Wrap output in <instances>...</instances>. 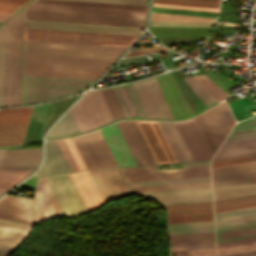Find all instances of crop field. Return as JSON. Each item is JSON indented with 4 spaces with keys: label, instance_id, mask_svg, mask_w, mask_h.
<instances>
[{
    "label": "crop field",
    "instance_id": "69",
    "mask_svg": "<svg viewBox=\"0 0 256 256\" xmlns=\"http://www.w3.org/2000/svg\"><path fill=\"white\" fill-rule=\"evenodd\" d=\"M256 136V132L254 133H248V134H242V135H236V136H230L227 137L226 141H232V140H237V139H243V138H248V137H254Z\"/></svg>",
    "mask_w": 256,
    "mask_h": 256
},
{
    "label": "crop field",
    "instance_id": "46",
    "mask_svg": "<svg viewBox=\"0 0 256 256\" xmlns=\"http://www.w3.org/2000/svg\"><path fill=\"white\" fill-rule=\"evenodd\" d=\"M213 220L212 214L167 217V224Z\"/></svg>",
    "mask_w": 256,
    "mask_h": 256
},
{
    "label": "crop field",
    "instance_id": "31",
    "mask_svg": "<svg viewBox=\"0 0 256 256\" xmlns=\"http://www.w3.org/2000/svg\"><path fill=\"white\" fill-rule=\"evenodd\" d=\"M33 3L146 11L147 6L73 0H36Z\"/></svg>",
    "mask_w": 256,
    "mask_h": 256
},
{
    "label": "crop field",
    "instance_id": "4",
    "mask_svg": "<svg viewBox=\"0 0 256 256\" xmlns=\"http://www.w3.org/2000/svg\"><path fill=\"white\" fill-rule=\"evenodd\" d=\"M214 201L256 194V161L212 169Z\"/></svg>",
    "mask_w": 256,
    "mask_h": 256
},
{
    "label": "crop field",
    "instance_id": "40",
    "mask_svg": "<svg viewBox=\"0 0 256 256\" xmlns=\"http://www.w3.org/2000/svg\"><path fill=\"white\" fill-rule=\"evenodd\" d=\"M31 172L0 169V187L10 188Z\"/></svg>",
    "mask_w": 256,
    "mask_h": 256
},
{
    "label": "crop field",
    "instance_id": "29",
    "mask_svg": "<svg viewBox=\"0 0 256 256\" xmlns=\"http://www.w3.org/2000/svg\"><path fill=\"white\" fill-rule=\"evenodd\" d=\"M24 63L107 69L113 62L25 56Z\"/></svg>",
    "mask_w": 256,
    "mask_h": 256
},
{
    "label": "crop field",
    "instance_id": "41",
    "mask_svg": "<svg viewBox=\"0 0 256 256\" xmlns=\"http://www.w3.org/2000/svg\"><path fill=\"white\" fill-rule=\"evenodd\" d=\"M151 20L213 22V18L191 15L152 13Z\"/></svg>",
    "mask_w": 256,
    "mask_h": 256
},
{
    "label": "crop field",
    "instance_id": "19",
    "mask_svg": "<svg viewBox=\"0 0 256 256\" xmlns=\"http://www.w3.org/2000/svg\"><path fill=\"white\" fill-rule=\"evenodd\" d=\"M156 199L161 205L212 201L211 188L139 193Z\"/></svg>",
    "mask_w": 256,
    "mask_h": 256
},
{
    "label": "crop field",
    "instance_id": "49",
    "mask_svg": "<svg viewBox=\"0 0 256 256\" xmlns=\"http://www.w3.org/2000/svg\"><path fill=\"white\" fill-rule=\"evenodd\" d=\"M256 130V117H252L241 122L236 123L230 135L250 132Z\"/></svg>",
    "mask_w": 256,
    "mask_h": 256
},
{
    "label": "crop field",
    "instance_id": "34",
    "mask_svg": "<svg viewBox=\"0 0 256 256\" xmlns=\"http://www.w3.org/2000/svg\"><path fill=\"white\" fill-rule=\"evenodd\" d=\"M76 124L72 118L70 111H68L60 121L50 130L46 138L57 137L64 135H73L78 133Z\"/></svg>",
    "mask_w": 256,
    "mask_h": 256
},
{
    "label": "crop field",
    "instance_id": "77",
    "mask_svg": "<svg viewBox=\"0 0 256 256\" xmlns=\"http://www.w3.org/2000/svg\"><path fill=\"white\" fill-rule=\"evenodd\" d=\"M4 151H5V149H0V160L2 158V155H3Z\"/></svg>",
    "mask_w": 256,
    "mask_h": 256
},
{
    "label": "crop field",
    "instance_id": "33",
    "mask_svg": "<svg viewBox=\"0 0 256 256\" xmlns=\"http://www.w3.org/2000/svg\"><path fill=\"white\" fill-rule=\"evenodd\" d=\"M169 235L214 231L213 221L167 225Z\"/></svg>",
    "mask_w": 256,
    "mask_h": 256
},
{
    "label": "crop field",
    "instance_id": "15",
    "mask_svg": "<svg viewBox=\"0 0 256 256\" xmlns=\"http://www.w3.org/2000/svg\"><path fill=\"white\" fill-rule=\"evenodd\" d=\"M193 161L210 160L212 152L195 120V118L174 122Z\"/></svg>",
    "mask_w": 256,
    "mask_h": 256
},
{
    "label": "crop field",
    "instance_id": "81",
    "mask_svg": "<svg viewBox=\"0 0 256 256\" xmlns=\"http://www.w3.org/2000/svg\"><path fill=\"white\" fill-rule=\"evenodd\" d=\"M0 194H2V193H0Z\"/></svg>",
    "mask_w": 256,
    "mask_h": 256
},
{
    "label": "crop field",
    "instance_id": "1",
    "mask_svg": "<svg viewBox=\"0 0 256 256\" xmlns=\"http://www.w3.org/2000/svg\"><path fill=\"white\" fill-rule=\"evenodd\" d=\"M137 165L177 162L158 122L120 121L116 122Z\"/></svg>",
    "mask_w": 256,
    "mask_h": 256
},
{
    "label": "crop field",
    "instance_id": "47",
    "mask_svg": "<svg viewBox=\"0 0 256 256\" xmlns=\"http://www.w3.org/2000/svg\"><path fill=\"white\" fill-rule=\"evenodd\" d=\"M231 111L234 115L252 110L255 108V101L254 99L246 101L245 99L241 98L235 102L228 104Z\"/></svg>",
    "mask_w": 256,
    "mask_h": 256
},
{
    "label": "crop field",
    "instance_id": "64",
    "mask_svg": "<svg viewBox=\"0 0 256 256\" xmlns=\"http://www.w3.org/2000/svg\"><path fill=\"white\" fill-rule=\"evenodd\" d=\"M87 1H100V2H114V3L147 5V0H87Z\"/></svg>",
    "mask_w": 256,
    "mask_h": 256
},
{
    "label": "crop field",
    "instance_id": "73",
    "mask_svg": "<svg viewBox=\"0 0 256 256\" xmlns=\"http://www.w3.org/2000/svg\"><path fill=\"white\" fill-rule=\"evenodd\" d=\"M232 256H256V251H254V252H249V253H243V254L232 255Z\"/></svg>",
    "mask_w": 256,
    "mask_h": 256
},
{
    "label": "crop field",
    "instance_id": "28",
    "mask_svg": "<svg viewBox=\"0 0 256 256\" xmlns=\"http://www.w3.org/2000/svg\"><path fill=\"white\" fill-rule=\"evenodd\" d=\"M255 154L256 137L223 143L211 162Z\"/></svg>",
    "mask_w": 256,
    "mask_h": 256
},
{
    "label": "crop field",
    "instance_id": "25",
    "mask_svg": "<svg viewBox=\"0 0 256 256\" xmlns=\"http://www.w3.org/2000/svg\"><path fill=\"white\" fill-rule=\"evenodd\" d=\"M66 172H70V169L56 141H46L44 162L34 176L42 178Z\"/></svg>",
    "mask_w": 256,
    "mask_h": 256
},
{
    "label": "crop field",
    "instance_id": "68",
    "mask_svg": "<svg viewBox=\"0 0 256 256\" xmlns=\"http://www.w3.org/2000/svg\"><path fill=\"white\" fill-rule=\"evenodd\" d=\"M153 3L219 8V6H213V5H200V4H187V3L159 2V1H153Z\"/></svg>",
    "mask_w": 256,
    "mask_h": 256
},
{
    "label": "crop field",
    "instance_id": "48",
    "mask_svg": "<svg viewBox=\"0 0 256 256\" xmlns=\"http://www.w3.org/2000/svg\"><path fill=\"white\" fill-rule=\"evenodd\" d=\"M140 118H149L134 84L126 86Z\"/></svg>",
    "mask_w": 256,
    "mask_h": 256
},
{
    "label": "crop field",
    "instance_id": "32",
    "mask_svg": "<svg viewBox=\"0 0 256 256\" xmlns=\"http://www.w3.org/2000/svg\"><path fill=\"white\" fill-rule=\"evenodd\" d=\"M48 104V103H47ZM47 104L35 106L32 108L29 124L27 127L24 143L38 139L40 136ZM23 143V144H24Z\"/></svg>",
    "mask_w": 256,
    "mask_h": 256
},
{
    "label": "crop field",
    "instance_id": "79",
    "mask_svg": "<svg viewBox=\"0 0 256 256\" xmlns=\"http://www.w3.org/2000/svg\"><path fill=\"white\" fill-rule=\"evenodd\" d=\"M208 1H216V2H219L220 0H208Z\"/></svg>",
    "mask_w": 256,
    "mask_h": 256
},
{
    "label": "crop field",
    "instance_id": "8",
    "mask_svg": "<svg viewBox=\"0 0 256 256\" xmlns=\"http://www.w3.org/2000/svg\"><path fill=\"white\" fill-rule=\"evenodd\" d=\"M25 33L86 37V38H100V39H113V40H127V41H133L137 37V36H131V35H117V34H103V33H89V32L47 30V29H33V28H26ZM32 34H25V39L105 44V45H120V46H128L129 44L132 43V42H126V41H112V40L72 38V37L32 35Z\"/></svg>",
    "mask_w": 256,
    "mask_h": 256
},
{
    "label": "crop field",
    "instance_id": "38",
    "mask_svg": "<svg viewBox=\"0 0 256 256\" xmlns=\"http://www.w3.org/2000/svg\"><path fill=\"white\" fill-rule=\"evenodd\" d=\"M101 91L104 95V98L106 100V103L109 107V110L111 112L113 119L115 120L117 118H126L114 89L112 88V89L101 90Z\"/></svg>",
    "mask_w": 256,
    "mask_h": 256
},
{
    "label": "crop field",
    "instance_id": "75",
    "mask_svg": "<svg viewBox=\"0 0 256 256\" xmlns=\"http://www.w3.org/2000/svg\"><path fill=\"white\" fill-rule=\"evenodd\" d=\"M201 13H203V14H209V15H214V16H216V15H217V13H214V12H206V11H202Z\"/></svg>",
    "mask_w": 256,
    "mask_h": 256
},
{
    "label": "crop field",
    "instance_id": "78",
    "mask_svg": "<svg viewBox=\"0 0 256 256\" xmlns=\"http://www.w3.org/2000/svg\"><path fill=\"white\" fill-rule=\"evenodd\" d=\"M7 189H4V188H0V192H4L6 191Z\"/></svg>",
    "mask_w": 256,
    "mask_h": 256
},
{
    "label": "crop field",
    "instance_id": "70",
    "mask_svg": "<svg viewBox=\"0 0 256 256\" xmlns=\"http://www.w3.org/2000/svg\"><path fill=\"white\" fill-rule=\"evenodd\" d=\"M159 1H173V2H187V3H200V4L219 5V3H216V2H208V1H186V0H159Z\"/></svg>",
    "mask_w": 256,
    "mask_h": 256
},
{
    "label": "crop field",
    "instance_id": "74",
    "mask_svg": "<svg viewBox=\"0 0 256 256\" xmlns=\"http://www.w3.org/2000/svg\"><path fill=\"white\" fill-rule=\"evenodd\" d=\"M1 1H7V2H14V3L24 4V3H26L28 0H1Z\"/></svg>",
    "mask_w": 256,
    "mask_h": 256
},
{
    "label": "crop field",
    "instance_id": "23",
    "mask_svg": "<svg viewBox=\"0 0 256 256\" xmlns=\"http://www.w3.org/2000/svg\"><path fill=\"white\" fill-rule=\"evenodd\" d=\"M32 226L0 219V256H9Z\"/></svg>",
    "mask_w": 256,
    "mask_h": 256
},
{
    "label": "crop field",
    "instance_id": "17",
    "mask_svg": "<svg viewBox=\"0 0 256 256\" xmlns=\"http://www.w3.org/2000/svg\"><path fill=\"white\" fill-rule=\"evenodd\" d=\"M26 10L145 19L146 12L31 4Z\"/></svg>",
    "mask_w": 256,
    "mask_h": 256
},
{
    "label": "crop field",
    "instance_id": "57",
    "mask_svg": "<svg viewBox=\"0 0 256 256\" xmlns=\"http://www.w3.org/2000/svg\"><path fill=\"white\" fill-rule=\"evenodd\" d=\"M254 160H256V156H250V157H244V158L214 162V163H211V167L214 168V167L226 166V165L237 164V163L248 162V161H254Z\"/></svg>",
    "mask_w": 256,
    "mask_h": 256
},
{
    "label": "crop field",
    "instance_id": "55",
    "mask_svg": "<svg viewBox=\"0 0 256 256\" xmlns=\"http://www.w3.org/2000/svg\"><path fill=\"white\" fill-rule=\"evenodd\" d=\"M130 115H137L125 86L117 88Z\"/></svg>",
    "mask_w": 256,
    "mask_h": 256
},
{
    "label": "crop field",
    "instance_id": "54",
    "mask_svg": "<svg viewBox=\"0 0 256 256\" xmlns=\"http://www.w3.org/2000/svg\"><path fill=\"white\" fill-rule=\"evenodd\" d=\"M253 201H256V195L217 201V202H214V205H215V208H217V207H223V206H229V205H235V204H241V203H247V202H253Z\"/></svg>",
    "mask_w": 256,
    "mask_h": 256
},
{
    "label": "crop field",
    "instance_id": "27",
    "mask_svg": "<svg viewBox=\"0 0 256 256\" xmlns=\"http://www.w3.org/2000/svg\"><path fill=\"white\" fill-rule=\"evenodd\" d=\"M70 176L88 211L97 209L104 204L88 171L72 173Z\"/></svg>",
    "mask_w": 256,
    "mask_h": 256
},
{
    "label": "crop field",
    "instance_id": "13",
    "mask_svg": "<svg viewBox=\"0 0 256 256\" xmlns=\"http://www.w3.org/2000/svg\"><path fill=\"white\" fill-rule=\"evenodd\" d=\"M104 203L131 193L118 168L89 171Z\"/></svg>",
    "mask_w": 256,
    "mask_h": 256
},
{
    "label": "crop field",
    "instance_id": "56",
    "mask_svg": "<svg viewBox=\"0 0 256 256\" xmlns=\"http://www.w3.org/2000/svg\"><path fill=\"white\" fill-rule=\"evenodd\" d=\"M57 142H58V144H59V146H60V148H61V150H62V152H63V154H64V156H65V158H66V160H67V162H68V164L70 166V168H71V170L72 171H77L78 168H77V166H76V164H75V162H74V160H73V158H72V156H71V154H70V152H69V150H68L64 140L63 139H59V140H57Z\"/></svg>",
    "mask_w": 256,
    "mask_h": 256
},
{
    "label": "crop field",
    "instance_id": "45",
    "mask_svg": "<svg viewBox=\"0 0 256 256\" xmlns=\"http://www.w3.org/2000/svg\"><path fill=\"white\" fill-rule=\"evenodd\" d=\"M195 77L215 97L217 101L227 96L226 93H224L219 87H217L212 81H210L204 75H196Z\"/></svg>",
    "mask_w": 256,
    "mask_h": 256
},
{
    "label": "crop field",
    "instance_id": "20",
    "mask_svg": "<svg viewBox=\"0 0 256 256\" xmlns=\"http://www.w3.org/2000/svg\"><path fill=\"white\" fill-rule=\"evenodd\" d=\"M0 218L33 224L32 199L4 196L0 199Z\"/></svg>",
    "mask_w": 256,
    "mask_h": 256
},
{
    "label": "crop field",
    "instance_id": "59",
    "mask_svg": "<svg viewBox=\"0 0 256 256\" xmlns=\"http://www.w3.org/2000/svg\"><path fill=\"white\" fill-rule=\"evenodd\" d=\"M65 141H66V143H67V145H68V147H69V149H70V151H71V153H72V155H73V157H74V159H75L79 169L80 170L86 169V167H85V165H84L80 155L78 154V152H77V150H76V148H75L71 138L65 139Z\"/></svg>",
    "mask_w": 256,
    "mask_h": 256
},
{
    "label": "crop field",
    "instance_id": "18",
    "mask_svg": "<svg viewBox=\"0 0 256 256\" xmlns=\"http://www.w3.org/2000/svg\"><path fill=\"white\" fill-rule=\"evenodd\" d=\"M34 211L35 223L64 214H62L45 178L38 179L34 196Z\"/></svg>",
    "mask_w": 256,
    "mask_h": 256
},
{
    "label": "crop field",
    "instance_id": "63",
    "mask_svg": "<svg viewBox=\"0 0 256 256\" xmlns=\"http://www.w3.org/2000/svg\"><path fill=\"white\" fill-rule=\"evenodd\" d=\"M212 213V209L168 212L167 216Z\"/></svg>",
    "mask_w": 256,
    "mask_h": 256
},
{
    "label": "crop field",
    "instance_id": "60",
    "mask_svg": "<svg viewBox=\"0 0 256 256\" xmlns=\"http://www.w3.org/2000/svg\"><path fill=\"white\" fill-rule=\"evenodd\" d=\"M215 247V243L170 246V251Z\"/></svg>",
    "mask_w": 256,
    "mask_h": 256
},
{
    "label": "crop field",
    "instance_id": "12",
    "mask_svg": "<svg viewBox=\"0 0 256 256\" xmlns=\"http://www.w3.org/2000/svg\"><path fill=\"white\" fill-rule=\"evenodd\" d=\"M127 182L205 176L209 167L156 171L155 165L121 168Z\"/></svg>",
    "mask_w": 256,
    "mask_h": 256
},
{
    "label": "crop field",
    "instance_id": "80",
    "mask_svg": "<svg viewBox=\"0 0 256 256\" xmlns=\"http://www.w3.org/2000/svg\"><path fill=\"white\" fill-rule=\"evenodd\" d=\"M250 235H252V234H250ZM244 236H246V235H244ZM240 237V236H239ZM234 238V237H233ZM228 239V238H227ZM222 240V239H221Z\"/></svg>",
    "mask_w": 256,
    "mask_h": 256
},
{
    "label": "crop field",
    "instance_id": "26",
    "mask_svg": "<svg viewBox=\"0 0 256 256\" xmlns=\"http://www.w3.org/2000/svg\"><path fill=\"white\" fill-rule=\"evenodd\" d=\"M26 27L139 35L142 29L26 21Z\"/></svg>",
    "mask_w": 256,
    "mask_h": 256
},
{
    "label": "crop field",
    "instance_id": "42",
    "mask_svg": "<svg viewBox=\"0 0 256 256\" xmlns=\"http://www.w3.org/2000/svg\"><path fill=\"white\" fill-rule=\"evenodd\" d=\"M256 250V241L236 244L231 246L217 248L218 256H226L237 253L249 252Z\"/></svg>",
    "mask_w": 256,
    "mask_h": 256
},
{
    "label": "crop field",
    "instance_id": "30",
    "mask_svg": "<svg viewBox=\"0 0 256 256\" xmlns=\"http://www.w3.org/2000/svg\"><path fill=\"white\" fill-rule=\"evenodd\" d=\"M178 162L192 161L184 143L182 142L173 122H159Z\"/></svg>",
    "mask_w": 256,
    "mask_h": 256
},
{
    "label": "crop field",
    "instance_id": "10",
    "mask_svg": "<svg viewBox=\"0 0 256 256\" xmlns=\"http://www.w3.org/2000/svg\"><path fill=\"white\" fill-rule=\"evenodd\" d=\"M46 180L65 216L87 212L69 174L47 177Z\"/></svg>",
    "mask_w": 256,
    "mask_h": 256
},
{
    "label": "crop field",
    "instance_id": "58",
    "mask_svg": "<svg viewBox=\"0 0 256 256\" xmlns=\"http://www.w3.org/2000/svg\"><path fill=\"white\" fill-rule=\"evenodd\" d=\"M167 50L168 49H166L162 46L142 48V49H134V50H130L124 57L139 55V54H146V53L161 52V51H167Z\"/></svg>",
    "mask_w": 256,
    "mask_h": 256
},
{
    "label": "crop field",
    "instance_id": "36",
    "mask_svg": "<svg viewBox=\"0 0 256 256\" xmlns=\"http://www.w3.org/2000/svg\"><path fill=\"white\" fill-rule=\"evenodd\" d=\"M211 187L210 182L130 188L132 193Z\"/></svg>",
    "mask_w": 256,
    "mask_h": 256
},
{
    "label": "crop field",
    "instance_id": "14",
    "mask_svg": "<svg viewBox=\"0 0 256 256\" xmlns=\"http://www.w3.org/2000/svg\"><path fill=\"white\" fill-rule=\"evenodd\" d=\"M26 19L144 27L145 20L26 11Z\"/></svg>",
    "mask_w": 256,
    "mask_h": 256
},
{
    "label": "crop field",
    "instance_id": "7",
    "mask_svg": "<svg viewBox=\"0 0 256 256\" xmlns=\"http://www.w3.org/2000/svg\"><path fill=\"white\" fill-rule=\"evenodd\" d=\"M87 169L117 167L100 130L72 138Z\"/></svg>",
    "mask_w": 256,
    "mask_h": 256
},
{
    "label": "crop field",
    "instance_id": "62",
    "mask_svg": "<svg viewBox=\"0 0 256 256\" xmlns=\"http://www.w3.org/2000/svg\"><path fill=\"white\" fill-rule=\"evenodd\" d=\"M20 6H22V5L14 4V3L1 2L0 1V12L1 13L11 14L16 9H18Z\"/></svg>",
    "mask_w": 256,
    "mask_h": 256
},
{
    "label": "crop field",
    "instance_id": "67",
    "mask_svg": "<svg viewBox=\"0 0 256 256\" xmlns=\"http://www.w3.org/2000/svg\"><path fill=\"white\" fill-rule=\"evenodd\" d=\"M153 6L171 7V8H183V9H195V10H206V11H214V12H218V10H219V9H213V8H199V7H186V6H173V5H159V4H153Z\"/></svg>",
    "mask_w": 256,
    "mask_h": 256
},
{
    "label": "crop field",
    "instance_id": "50",
    "mask_svg": "<svg viewBox=\"0 0 256 256\" xmlns=\"http://www.w3.org/2000/svg\"><path fill=\"white\" fill-rule=\"evenodd\" d=\"M170 256H216L215 248L170 252Z\"/></svg>",
    "mask_w": 256,
    "mask_h": 256
},
{
    "label": "crop field",
    "instance_id": "21",
    "mask_svg": "<svg viewBox=\"0 0 256 256\" xmlns=\"http://www.w3.org/2000/svg\"><path fill=\"white\" fill-rule=\"evenodd\" d=\"M41 158V147L6 150L0 168L34 171Z\"/></svg>",
    "mask_w": 256,
    "mask_h": 256
},
{
    "label": "crop field",
    "instance_id": "3",
    "mask_svg": "<svg viewBox=\"0 0 256 256\" xmlns=\"http://www.w3.org/2000/svg\"><path fill=\"white\" fill-rule=\"evenodd\" d=\"M125 48L120 46L25 40V55L32 56L115 61Z\"/></svg>",
    "mask_w": 256,
    "mask_h": 256
},
{
    "label": "crop field",
    "instance_id": "66",
    "mask_svg": "<svg viewBox=\"0 0 256 256\" xmlns=\"http://www.w3.org/2000/svg\"><path fill=\"white\" fill-rule=\"evenodd\" d=\"M253 240H256V236L242 238V239H236V240H231V241H225V242H219V243H217V247L236 244V243H242V242H248V241H253Z\"/></svg>",
    "mask_w": 256,
    "mask_h": 256
},
{
    "label": "crop field",
    "instance_id": "71",
    "mask_svg": "<svg viewBox=\"0 0 256 256\" xmlns=\"http://www.w3.org/2000/svg\"><path fill=\"white\" fill-rule=\"evenodd\" d=\"M185 168L209 166V162L184 163Z\"/></svg>",
    "mask_w": 256,
    "mask_h": 256
},
{
    "label": "crop field",
    "instance_id": "61",
    "mask_svg": "<svg viewBox=\"0 0 256 256\" xmlns=\"http://www.w3.org/2000/svg\"><path fill=\"white\" fill-rule=\"evenodd\" d=\"M250 233H256V228H250V229H244V230H239V231L221 233V234H219V239L227 238V237H233V236H239V235H244V234H250Z\"/></svg>",
    "mask_w": 256,
    "mask_h": 256
},
{
    "label": "crop field",
    "instance_id": "76",
    "mask_svg": "<svg viewBox=\"0 0 256 256\" xmlns=\"http://www.w3.org/2000/svg\"><path fill=\"white\" fill-rule=\"evenodd\" d=\"M8 15L7 14H1L0 13V21L3 20L4 18H6Z\"/></svg>",
    "mask_w": 256,
    "mask_h": 256
},
{
    "label": "crop field",
    "instance_id": "5",
    "mask_svg": "<svg viewBox=\"0 0 256 256\" xmlns=\"http://www.w3.org/2000/svg\"><path fill=\"white\" fill-rule=\"evenodd\" d=\"M95 80L24 75L23 93L67 96L84 91ZM23 94V105L41 103L58 96Z\"/></svg>",
    "mask_w": 256,
    "mask_h": 256
},
{
    "label": "crop field",
    "instance_id": "37",
    "mask_svg": "<svg viewBox=\"0 0 256 256\" xmlns=\"http://www.w3.org/2000/svg\"><path fill=\"white\" fill-rule=\"evenodd\" d=\"M255 224H256V214L242 216V217H236V218H230V219H224V220H218V221H216V231L237 228V227H243V226H249V225H255Z\"/></svg>",
    "mask_w": 256,
    "mask_h": 256
},
{
    "label": "crop field",
    "instance_id": "9",
    "mask_svg": "<svg viewBox=\"0 0 256 256\" xmlns=\"http://www.w3.org/2000/svg\"><path fill=\"white\" fill-rule=\"evenodd\" d=\"M215 107L230 131L235 122L225 102ZM215 107L195 117L213 154L229 132Z\"/></svg>",
    "mask_w": 256,
    "mask_h": 256
},
{
    "label": "crop field",
    "instance_id": "44",
    "mask_svg": "<svg viewBox=\"0 0 256 256\" xmlns=\"http://www.w3.org/2000/svg\"><path fill=\"white\" fill-rule=\"evenodd\" d=\"M5 24L0 27V107H3Z\"/></svg>",
    "mask_w": 256,
    "mask_h": 256
},
{
    "label": "crop field",
    "instance_id": "51",
    "mask_svg": "<svg viewBox=\"0 0 256 256\" xmlns=\"http://www.w3.org/2000/svg\"><path fill=\"white\" fill-rule=\"evenodd\" d=\"M167 211L212 208V202L163 206Z\"/></svg>",
    "mask_w": 256,
    "mask_h": 256
},
{
    "label": "crop field",
    "instance_id": "65",
    "mask_svg": "<svg viewBox=\"0 0 256 256\" xmlns=\"http://www.w3.org/2000/svg\"><path fill=\"white\" fill-rule=\"evenodd\" d=\"M251 206H256V202L241 204V205H235V206H229V207H223V208H217V209H215V213L234 210V209H240V208H246V207H251Z\"/></svg>",
    "mask_w": 256,
    "mask_h": 256
},
{
    "label": "crop field",
    "instance_id": "52",
    "mask_svg": "<svg viewBox=\"0 0 256 256\" xmlns=\"http://www.w3.org/2000/svg\"><path fill=\"white\" fill-rule=\"evenodd\" d=\"M212 23L151 21L150 26H192L210 27Z\"/></svg>",
    "mask_w": 256,
    "mask_h": 256
},
{
    "label": "crop field",
    "instance_id": "6",
    "mask_svg": "<svg viewBox=\"0 0 256 256\" xmlns=\"http://www.w3.org/2000/svg\"><path fill=\"white\" fill-rule=\"evenodd\" d=\"M70 111L80 132L113 120L100 90L85 94Z\"/></svg>",
    "mask_w": 256,
    "mask_h": 256
},
{
    "label": "crop field",
    "instance_id": "39",
    "mask_svg": "<svg viewBox=\"0 0 256 256\" xmlns=\"http://www.w3.org/2000/svg\"><path fill=\"white\" fill-rule=\"evenodd\" d=\"M204 181H210V176L181 178V179H169V180H157V181H145V182H133V183H128V184L130 187H136V186H150V185L177 184V183L204 182Z\"/></svg>",
    "mask_w": 256,
    "mask_h": 256
},
{
    "label": "crop field",
    "instance_id": "11",
    "mask_svg": "<svg viewBox=\"0 0 256 256\" xmlns=\"http://www.w3.org/2000/svg\"><path fill=\"white\" fill-rule=\"evenodd\" d=\"M31 108L0 110V146L22 144Z\"/></svg>",
    "mask_w": 256,
    "mask_h": 256
},
{
    "label": "crop field",
    "instance_id": "72",
    "mask_svg": "<svg viewBox=\"0 0 256 256\" xmlns=\"http://www.w3.org/2000/svg\"><path fill=\"white\" fill-rule=\"evenodd\" d=\"M114 89H115V91H116V93H117V96H118V98H119V101H120V103H121V105H122V108H123V110H124V113H125L126 117H127V118H130L129 115H128V113H127V111H126V109H125V106H124V104H123V102H122V100H121V97H120V95H119L117 89H116V88H114Z\"/></svg>",
    "mask_w": 256,
    "mask_h": 256
},
{
    "label": "crop field",
    "instance_id": "35",
    "mask_svg": "<svg viewBox=\"0 0 256 256\" xmlns=\"http://www.w3.org/2000/svg\"><path fill=\"white\" fill-rule=\"evenodd\" d=\"M170 245L215 242L214 232L169 236Z\"/></svg>",
    "mask_w": 256,
    "mask_h": 256
},
{
    "label": "crop field",
    "instance_id": "22",
    "mask_svg": "<svg viewBox=\"0 0 256 256\" xmlns=\"http://www.w3.org/2000/svg\"><path fill=\"white\" fill-rule=\"evenodd\" d=\"M105 70L24 64V74L97 79Z\"/></svg>",
    "mask_w": 256,
    "mask_h": 256
},
{
    "label": "crop field",
    "instance_id": "43",
    "mask_svg": "<svg viewBox=\"0 0 256 256\" xmlns=\"http://www.w3.org/2000/svg\"><path fill=\"white\" fill-rule=\"evenodd\" d=\"M184 79L207 106L217 102L213 96L193 76L185 77Z\"/></svg>",
    "mask_w": 256,
    "mask_h": 256
},
{
    "label": "crop field",
    "instance_id": "53",
    "mask_svg": "<svg viewBox=\"0 0 256 256\" xmlns=\"http://www.w3.org/2000/svg\"><path fill=\"white\" fill-rule=\"evenodd\" d=\"M254 213H256V207L217 213L215 214V217H216V220H218V219H224V218H230V217H236V216H242V215H248V214H254Z\"/></svg>",
    "mask_w": 256,
    "mask_h": 256
},
{
    "label": "crop field",
    "instance_id": "2",
    "mask_svg": "<svg viewBox=\"0 0 256 256\" xmlns=\"http://www.w3.org/2000/svg\"><path fill=\"white\" fill-rule=\"evenodd\" d=\"M24 10L6 22L4 107L21 105Z\"/></svg>",
    "mask_w": 256,
    "mask_h": 256
},
{
    "label": "crop field",
    "instance_id": "24",
    "mask_svg": "<svg viewBox=\"0 0 256 256\" xmlns=\"http://www.w3.org/2000/svg\"><path fill=\"white\" fill-rule=\"evenodd\" d=\"M118 166L136 165L116 123L100 129Z\"/></svg>",
    "mask_w": 256,
    "mask_h": 256
},
{
    "label": "crop field",
    "instance_id": "16",
    "mask_svg": "<svg viewBox=\"0 0 256 256\" xmlns=\"http://www.w3.org/2000/svg\"><path fill=\"white\" fill-rule=\"evenodd\" d=\"M135 85L150 118H173L155 78Z\"/></svg>",
    "mask_w": 256,
    "mask_h": 256
}]
</instances>
